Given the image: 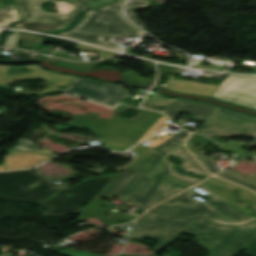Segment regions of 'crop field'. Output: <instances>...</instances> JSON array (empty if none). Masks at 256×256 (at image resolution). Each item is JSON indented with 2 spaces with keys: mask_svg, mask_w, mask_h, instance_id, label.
Listing matches in <instances>:
<instances>
[{
  "mask_svg": "<svg viewBox=\"0 0 256 256\" xmlns=\"http://www.w3.org/2000/svg\"><path fill=\"white\" fill-rule=\"evenodd\" d=\"M164 87L172 91H180L210 97L218 86L202 84L198 82L175 80L174 76L170 75L169 81Z\"/></svg>",
  "mask_w": 256,
  "mask_h": 256,
  "instance_id": "crop-field-17",
  "label": "crop field"
},
{
  "mask_svg": "<svg viewBox=\"0 0 256 256\" xmlns=\"http://www.w3.org/2000/svg\"><path fill=\"white\" fill-rule=\"evenodd\" d=\"M67 8L60 13L78 14L83 8H97L112 2L113 0H51Z\"/></svg>",
  "mask_w": 256,
  "mask_h": 256,
  "instance_id": "crop-field-18",
  "label": "crop field"
},
{
  "mask_svg": "<svg viewBox=\"0 0 256 256\" xmlns=\"http://www.w3.org/2000/svg\"><path fill=\"white\" fill-rule=\"evenodd\" d=\"M1 31V30H0Z\"/></svg>",
  "mask_w": 256,
  "mask_h": 256,
  "instance_id": "crop-field-45",
  "label": "crop field"
},
{
  "mask_svg": "<svg viewBox=\"0 0 256 256\" xmlns=\"http://www.w3.org/2000/svg\"><path fill=\"white\" fill-rule=\"evenodd\" d=\"M202 185H204L205 187H207L210 190L214 191L215 193L219 194L220 196L224 197L225 199L229 200L230 202H232L233 204L237 205L238 207H240L241 209H243L244 211H246L250 215L252 214V212L250 210L245 208L246 206H248L247 203L238 204V203L233 201V196L231 194L232 192L230 190H227V189L218 190L216 188H213V187L207 185L206 183H202ZM254 217H256V216H254Z\"/></svg>",
  "mask_w": 256,
  "mask_h": 256,
  "instance_id": "crop-field-28",
  "label": "crop field"
},
{
  "mask_svg": "<svg viewBox=\"0 0 256 256\" xmlns=\"http://www.w3.org/2000/svg\"><path fill=\"white\" fill-rule=\"evenodd\" d=\"M131 151L135 152L136 153V157L135 159L129 164L131 165L132 163H134L136 160H138L139 158H141L142 156H144L146 153H148L149 151H151L152 149H149V148H145V147H142V146H135L134 148L130 149ZM129 165H127L126 167L124 168H121L120 170H123L125 168H127Z\"/></svg>",
  "mask_w": 256,
  "mask_h": 256,
  "instance_id": "crop-field-33",
  "label": "crop field"
},
{
  "mask_svg": "<svg viewBox=\"0 0 256 256\" xmlns=\"http://www.w3.org/2000/svg\"><path fill=\"white\" fill-rule=\"evenodd\" d=\"M196 187L208 192L213 200L205 204L196 202L187 190L136 220V227L129 238L160 239L161 243L154 247L158 252L200 217L228 226H240L256 220L204 186L199 184Z\"/></svg>",
  "mask_w": 256,
  "mask_h": 256,
  "instance_id": "crop-field-1",
  "label": "crop field"
},
{
  "mask_svg": "<svg viewBox=\"0 0 256 256\" xmlns=\"http://www.w3.org/2000/svg\"><path fill=\"white\" fill-rule=\"evenodd\" d=\"M163 157L155 150L149 152L125 169V173L116 176L96 198L111 199L119 196L117 200L127 202Z\"/></svg>",
  "mask_w": 256,
  "mask_h": 256,
  "instance_id": "crop-field-5",
  "label": "crop field"
},
{
  "mask_svg": "<svg viewBox=\"0 0 256 256\" xmlns=\"http://www.w3.org/2000/svg\"><path fill=\"white\" fill-rule=\"evenodd\" d=\"M147 4H148L147 1H144V0H131V1L126 5V7H125V10H126L128 16H129V18H130L132 21H134L137 25H139V26H141V27H142L143 25H141V24L139 23L137 17L134 16V14H133L132 11L130 10V8H131L132 6H145V5H147Z\"/></svg>",
  "mask_w": 256,
  "mask_h": 256,
  "instance_id": "crop-field-30",
  "label": "crop field"
},
{
  "mask_svg": "<svg viewBox=\"0 0 256 256\" xmlns=\"http://www.w3.org/2000/svg\"><path fill=\"white\" fill-rule=\"evenodd\" d=\"M101 143L104 144L103 148L113 150V151H125L134 143H132L129 139H123V138H114V137H106L104 139L100 140Z\"/></svg>",
  "mask_w": 256,
  "mask_h": 256,
  "instance_id": "crop-field-25",
  "label": "crop field"
},
{
  "mask_svg": "<svg viewBox=\"0 0 256 256\" xmlns=\"http://www.w3.org/2000/svg\"><path fill=\"white\" fill-rule=\"evenodd\" d=\"M208 183L218 186V187H226L229 189H239L241 192L239 193L240 198L243 200H247L249 202H251V206L254 207L256 209V195L254 193H252L251 191L247 190V189H243L240 188L238 186L232 185L230 183H227L225 181L219 180L217 178H214L210 181H207Z\"/></svg>",
  "mask_w": 256,
  "mask_h": 256,
  "instance_id": "crop-field-23",
  "label": "crop field"
},
{
  "mask_svg": "<svg viewBox=\"0 0 256 256\" xmlns=\"http://www.w3.org/2000/svg\"><path fill=\"white\" fill-rule=\"evenodd\" d=\"M217 176L238 183L240 185L246 186L256 191V174H251L250 176L245 177L238 172L228 169L218 174Z\"/></svg>",
  "mask_w": 256,
  "mask_h": 256,
  "instance_id": "crop-field-20",
  "label": "crop field"
},
{
  "mask_svg": "<svg viewBox=\"0 0 256 256\" xmlns=\"http://www.w3.org/2000/svg\"><path fill=\"white\" fill-rule=\"evenodd\" d=\"M101 201H104L101 203ZM107 200L94 199L88 206H86L84 211L79 215L78 220L84 221L85 218L89 216L96 217L101 222H106L105 225H113L116 221H131L136 217H124V214L111 211V206L107 205ZM100 205L106 206L108 208H103ZM106 212L112 214L111 217H106Z\"/></svg>",
  "mask_w": 256,
  "mask_h": 256,
  "instance_id": "crop-field-15",
  "label": "crop field"
},
{
  "mask_svg": "<svg viewBox=\"0 0 256 256\" xmlns=\"http://www.w3.org/2000/svg\"><path fill=\"white\" fill-rule=\"evenodd\" d=\"M58 253H62L65 255H69V256H99V255H95L89 252H79L73 249H65V250H61L58 251Z\"/></svg>",
  "mask_w": 256,
  "mask_h": 256,
  "instance_id": "crop-field-34",
  "label": "crop field"
},
{
  "mask_svg": "<svg viewBox=\"0 0 256 256\" xmlns=\"http://www.w3.org/2000/svg\"><path fill=\"white\" fill-rule=\"evenodd\" d=\"M5 2H7L8 4H14L15 0H4Z\"/></svg>",
  "mask_w": 256,
  "mask_h": 256,
  "instance_id": "crop-field-41",
  "label": "crop field"
},
{
  "mask_svg": "<svg viewBox=\"0 0 256 256\" xmlns=\"http://www.w3.org/2000/svg\"><path fill=\"white\" fill-rule=\"evenodd\" d=\"M189 136V133L182 131L175 134L173 137L165 141L163 144L157 147V150L166 154L170 153L174 149L178 148Z\"/></svg>",
  "mask_w": 256,
  "mask_h": 256,
  "instance_id": "crop-field-26",
  "label": "crop field"
},
{
  "mask_svg": "<svg viewBox=\"0 0 256 256\" xmlns=\"http://www.w3.org/2000/svg\"><path fill=\"white\" fill-rule=\"evenodd\" d=\"M127 108L130 107L120 104L112 113L113 118L106 119L94 134L126 137L136 142L163 116L160 113L138 109L141 115L139 118L119 121L115 113Z\"/></svg>",
  "mask_w": 256,
  "mask_h": 256,
  "instance_id": "crop-field-9",
  "label": "crop field"
},
{
  "mask_svg": "<svg viewBox=\"0 0 256 256\" xmlns=\"http://www.w3.org/2000/svg\"><path fill=\"white\" fill-rule=\"evenodd\" d=\"M158 68L160 70L159 75H164L166 71L171 72V73L182 72L181 69H177V68H173V67H169V66H165V65H161V64H158Z\"/></svg>",
  "mask_w": 256,
  "mask_h": 256,
  "instance_id": "crop-field-37",
  "label": "crop field"
},
{
  "mask_svg": "<svg viewBox=\"0 0 256 256\" xmlns=\"http://www.w3.org/2000/svg\"><path fill=\"white\" fill-rule=\"evenodd\" d=\"M113 178H93L75 186L72 190L65 188L51 200L40 203L49 208L43 215L80 214L84 209L76 206L91 202ZM68 191L73 195L71 198L62 196Z\"/></svg>",
  "mask_w": 256,
  "mask_h": 256,
  "instance_id": "crop-field-7",
  "label": "crop field"
},
{
  "mask_svg": "<svg viewBox=\"0 0 256 256\" xmlns=\"http://www.w3.org/2000/svg\"><path fill=\"white\" fill-rule=\"evenodd\" d=\"M198 178L180 175L174 170V164L167 158L157 171L144 184L128 203L142 208H149L197 182Z\"/></svg>",
  "mask_w": 256,
  "mask_h": 256,
  "instance_id": "crop-field-4",
  "label": "crop field"
},
{
  "mask_svg": "<svg viewBox=\"0 0 256 256\" xmlns=\"http://www.w3.org/2000/svg\"><path fill=\"white\" fill-rule=\"evenodd\" d=\"M37 182L42 183L32 190L25 189L27 185ZM59 189L32 170L0 173V199L34 202L46 199Z\"/></svg>",
  "mask_w": 256,
  "mask_h": 256,
  "instance_id": "crop-field-6",
  "label": "crop field"
},
{
  "mask_svg": "<svg viewBox=\"0 0 256 256\" xmlns=\"http://www.w3.org/2000/svg\"><path fill=\"white\" fill-rule=\"evenodd\" d=\"M124 74H125L129 79H131V80L136 79V80H144L145 82H149L148 79L138 76L139 74L133 72L132 70L125 71Z\"/></svg>",
  "mask_w": 256,
  "mask_h": 256,
  "instance_id": "crop-field-38",
  "label": "crop field"
},
{
  "mask_svg": "<svg viewBox=\"0 0 256 256\" xmlns=\"http://www.w3.org/2000/svg\"><path fill=\"white\" fill-rule=\"evenodd\" d=\"M204 140H208L207 138L201 137L199 135L193 134V136L190 138V140L188 141V143H192V142H200V141H204Z\"/></svg>",
  "mask_w": 256,
  "mask_h": 256,
  "instance_id": "crop-field-39",
  "label": "crop field"
},
{
  "mask_svg": "<svg viewBox=\"0 0 256 256\" xmlns=\"http://www.w3.org/2000/svg\"><path fill=\"white\" fill-rule=\"evenodd\" d=\"M195 132L208 137L246 135L256 138V118L217 108L203 126Z\"/></svg>",
  "mask_w": 256,
  "mask_h": 256,
  "instance_id": "crop-field-8",
  "label": "crop field"
},
{
  "mask_svg": "<svg viewBox=\"0 0 256 256\" xmlns=\"http://www.w3.org/2000/svg\"><path fill=\"white\" fill-rule=\"evenodd\" d=\"M33 142L19 139L16 146L12 148L11 155L5 156L4 167L6 170L33 167L39 162L50 159L55 156L51 151H33L35 146Z\"/></svg>",
  "mask_w": 256,
  "mask_h": 256,
  "instance_id": "crop-field-12",
  "label": "crop field"
},
{
  "mask_svg": "<svg viewBox=\"0 0 256 256\" xmlns=\"http://www.w3.org/2000/svg\"><path fill=\"white\" fill-rule=\"evenodd\" d=\"M76 47L79 48V49L85 50V51H95V52L99 53L101 58H107V57H111V56L117 55V53H113V52L97 49V48L86 46V45H82V44H77Z\"/></svg>",
  "mask_w": 256,
  "mask_h": 256,
  "instance_id": "crop-field-31",
  "label": "crop field"
},
{
  "mask_svg": "<svg viewBox=\"0 0 256 256\" xmlns=\"http://www.w3.org/2000/svg\"><path fill=\"white\" fill-rule=\"evenodd\" d=\"M166 120H168L165 116H163L139 141H143L144 139H146L147 137H149L150 135H152L153 133L156 132V130L159 128L161 129L162 127H164L165 125H167L165 122Z\"/></svg>",
  "mask_w": 256,
  "mask_h": 256,
  "instance_id": "crop-field-32",
  "label": "crop field"
},
{
  "mask_svg": "<svg viewBox=\"0 0 256 256\" xmlns=\"http://www.w3.org/2000/svg\"><path fill=\"white\" fill-rule=\"evenodd\" d=\"M67 25L63 24H52V23H41V22H29L23 21L15 25L16 28L33 30V31H53L65 28Z\"/></svg>",
  "mask_w": 256,
  "mask_h": 256,
  "instance_id": "crop-field-24",
  "label": "crop field"
},
{
  "mask_svg": "<svg viewBox=\"0 0 256 256\" xmlns=\"http://www.w3.org/2000/svg\"><path fill=\"white\" fill-rule=\"evenodd\" d=\"M18 20L19 18L15 5L7 6L0 11V26L8 25Z\"/></svg>",
  "mask_w": 256,
  "mask_h": 256,
  "instance_id": "crop-field-27",
  "label": "crop field"
},
{
  "mask_svg": "<svg viewBox=\"0 0 256 256\" xmlns=\"http://www.w3.org/2000/svg\"><path fill=\"white\" fill-rule=\"evenodd\" d=\"M60 92L82 96L111 109H114L129 93L118 84L92 82L85 78H76L67 89Z\"/></svg>",
  "mask_w": 256,
  "mask_h": 256,
  "instance_id": "crop-field-10",
  "label": "crop field"
},
{
  "mask_svg": "<svg viewBox=\"0 0 256 256\" xmlns=\"http://www.w3.org/2000/svg\"><path fill=\"white\" fill-rule=\"evenodd\" d=\"M217 107L194 101L177 100L166 113L172 120L181 112L197 115L195 119L206 121Z\"/></svg>",
  "mask_w": 256,
  "mask_h": 256,
  "instance_id": "crop-field-16",
  "label": "crop field"
},
{
  "mask_svg": "<svg viewBox=\"0 0 256 256\" xmlns=\"http://www.w3.org/2000/svg\"><path fill=\"white\" fill-rule=\"evenodd\" d=\"M251 146H256V139H255V141L253 142V143H251L248 147H251ZM255 157V160H256V156H254Z\"/></svg>",
  "mask_w": 256,
  "mask_h": 256,
  "instance_id": "crop-field-42",
  "label": "crop field"
},
{
  "mask_svg": "<svg viewBox=\"0 0 256 256\" xmlns=\"http://www.w3.org/2000/svg\"><path fill=\"white\" fill-rule=\"evenodd\" d=\"M176 132L170 134H166L164 135L162 138L158 137V136H154L150 139H148V141L152 142L150 145L148 146H153V147H156L158 145H160L162 142H164L165 140H167L168 138H170L172 135H174Z\"/></svg>",
  "mask_w": 256,
  "mask_h": 256,
  "instance_id": "crop-field-35",
  "label": "crop field"
},
{
  "mask_svg": "<svg viewBox=\"0 0 256 256\" xmlns=\"http://www.w3.org/2000/svg\"><path fill=\"white\" fill-rule=\"evenodd\" d=\"M125 1L117 0L112 5L88 11L86 18L76 28L58 35L122 51L121 48L107 43L103 38L145 34L122 15L121 8Z\"/></svg>",
  "mask_w": 256,
  "mask_h": 256,
  "instance_id": "crop-field-2",
  "label": "crop field"
},
{
  "mask_svg": "<svg viewBox=\"0 0 256 256\" xmlns=\"http://www.w3.org/2000/svg\"><path fill=\"white\" fill-rule=\"evenodd\" d=\"M105 121V119L97 116L96 113L91 112L87 116L77 114L74 121L68 123L73 127H87L90 129L97 130L101 124Z\"/></svg>",
  "mask_w": 256,
  "mask_h": 256,
  "instance_id": "crop-field-21",
  "label": "crop field"
},
{
  "mask_svg": "<svg viewBox=\"0 0 256 256\" xmlns=\"http://www.w3.org/2000/svg\"><path fill=\"white\" fill-rule=\"evenodd\" d=\"M20 39H24V40H35L36 42H38V45L36 46L37 49L40 46V44L43 42V38L34 35V34H20Z\"/></svg>",
  "mask_w": 256,
  "mask_h": 256,
  "instance_id": "crop-field-36",
  "label": "crop field"
},
{
  "mask_svg": "<svg viewBox=\"0 0 256 256\" xmlns=\"http://www.w3.org/2000/svg\"><path fill=\"white\" fill-rule=\"evenodd\" d=\"M121 256H137V255H121Z\"/></svg>",
  "mask_w": 256,
  "mask_h": 256,
  "instance_id": "crop-field-43",
  "label": "crop field"
},
{
  "mask_svg": "<svg viewBox=\"0 0 256 256\" xmlns=\"http://www.w3.org/2000/svg\"><path fill=\"white\" fill-rule=\"evenodd\" d=\"M47 0H16L22 20L69 24L74 14H55L45 12L40 5Z\"/></svg>",
  "mask_w": 256,
  "mask_h": 256,
  "instance_id": "crop-field-14",
  "label": "crop field"
},
{
  "mask_svg": "<svg viewBox=\"0 0 256 256\" xmlns=\"http://www.w3.org/2000/svg\"><path fill=\"white\" fill-rule=\"evenodd\" d=\"M248 252L256 254V239L247 246Z\"/></svg>",
  "mask_w": 256,
  "mask_h": 256,
  "instance_id": "crop-field-40",
  "label": "crop field"
},
{
  "mask_svg": "<svg viewBox=\"0 0 256 256\" xmlns=\"http://www.w3.org/2000/svg\"><path fill=\"white\" fill-rule=\"evenodd\" d=\"M177 99H166L164 96L154 93L142 107L153 109L156 111L164 112L172 106Z\"/></svg>",
  "mask_w": 256,
  "mask_h": 256,
  "instance_id": "crop-field-22",
  "label": "crop field"
},
{
  "mask_svg": "<svg viewBox=\"0 0 256 256\" xmlns=\"http://www.w3.org/2000/svg\"><path fill=\"white\" fill-rule=\"evenodd\" d=\"M194 235L210 256H235L256 238V222L242 227H222L202 219L186 231Z\"/></svg>",
  "mask_w": 256,
  "mask_h": 256,
  "instance_id": "crop-field-3",
  "label": "crop field"
},
{
  "mask_svg": "<svg viewBox=\"0 0 256 256\" xmlns=\"http://www.w3.org/2000/svg\"><path fill=\"white\" fill-rule=\"evenodd\" d=\"M172 155H175L182 161L180 167L185 172L191 171L197 175L202 174L205 175L206 178L210 176L209 173H207L195 162V160L189 155V153L185 149H179L172 153Z\"/></svg>",
  "mask_w": 256,
  "mask_h": 256,
  "instance_id": "crop-field-19",
  "label": "crop field"
},
{
  "mask_svg": "<svg viewBox=\"0 0 256 256\" xmlns=\"http://www.w3.org/2000/svg\"><path fill=\"white\" fill-rule=\"evenodd\" d=\"M211 97L256 109V77L229 76Z\"/></svg>",
  "mask_w": 256,
  "mask_h": 256,
  "instance_id": "crop-field-11",
  "label": "crop field"
},
{
  "mask_svg": "<svg viewBox=\"0 0 256 256\" xmlns=\"http://www.w3.org/2000/svg\"><path fill=\"white\" fill-rule=\"evenodd\" d=\"M26 68L33 69V72L29 74H14L12 76H9L6 75L9 67L0 66V85H7L9 81H15L24 78L41 77L46 80L48 85L47 89L42 90L41 93L27 92L22 90H17L15 92H21L26 94H44L59 91V89L56 88L57 85H67L75 78L71 76H62L48 72L46 70L41 69L38 65L26 66Z\"/></svg>",
  "mask_w": 256,
  "mask_h": 256,
  "instance_id": "crop-field-13",
  "label": "crop field"
},
{
  "mask_svg": "<svg viewBox=\"0 0 256 256\" xmlns=\"http://www.w3.org/2000/svg\"><path fill=\"white\" fill-rule=\"evenodd\" d=\"M0 170H4L2 166H0Z\"/></svg>",
  "mask_w": 256,
  "mask_h": 256,
  "instance_id": "crop-field-44",
  "label": "crop field"
},
{
  "mask_svg": "<svg viewBox=\"0 0 256 256\" xmlns=\"http://www.w3.org/2000/svg\"><path fill=\"white\" fill-rule=\"evenodd\" d=\"M194 155L213 174L221 171V170L215 169L216 162H217L216 160L206 158L205 151H202L200 153H196Z\"/></svg>",
  "mask_w": 256,
  "mask_h": 256,
  "instance_id": "crop-field-29",
  "label": "crop field"
}]
</instances>
